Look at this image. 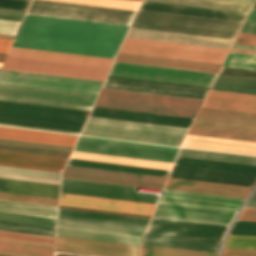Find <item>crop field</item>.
Returning a JSON list of instances; mask_svg holds the SVG:
<instances>
[{"label": "crop field", "instance_id": "crop-field-3", "mask_svg": "<svg viewBox=\"0 0 256 256\" xmlns=\"http://www.w3.org/2000/svg\"><path fill=\"white\" fill-rule=\"evenodd\" d=\"M187 130L89 117L81 135L179 147Z\"/></svg>", "mask_w": 256, "mask_h": 256}, {"label": "crop field", "instance_id": "crop-field-1", "mask_svg": "<svg viewBox=\"0 0 256 256\" xmlns=\"http://www.w3.org/2000/svg\"><path fill=\"white\" fill-rule=\"evenodd\" d=\"M128 27L26 14L11 46L114 58Z\"/></svg>", "mask_w": 256, "mask_h": 256}, {"label": "crop field", "instance_id": "crop-field-22", "mask_svg": "<svg viewBox=\"0 0 256 256\" xmlns=\"http://www.w3.org/2000/svg\"><path fill=\"white\" fill-rule=\"evenodd\" d=\"M244 199L164 190L162 203L238 212Z\"/></svg>", "mask_w": 256, "mask_h": 256}, {"label": "crop field", "instance_id": "crop-field-49", "mask_svg": "<svg viewBox=\"0 0 256 256\" xmlns=\"http://www.w3.org/2000/svg\"><path fill=\"white\" fill-rule=\"evenodd\" d=\"M223 248L256 250V237L229 235Z\"/></svg>", "mask_w": 256, "mask_h": 256}, {"label": "crop field", "instance_id": "crop-field-11", "mask_svg": "<svg viewBox=\"0 0 256 256\" xmlns=\"http://www.w3.org/2000/svg\"><path fill=\"white\" fill-rule=\"evenodd\" d=\"M109 75L210 87L216 74L115 62Z\"/></svg>", "mask_w": 256, "mask_h": 256}, {"label": "crop field", "instance_id": "crop-field-9", "mask_svg": "<svg viewBox=\"0 0 256 256\" xmlns=\"http://www.w3.org/2000/svg\"><path fill=\"white\" fill-rule=\"evenodd\" d=\"M178 148L80 136L73 151L172 163Z\"/></svg>", "mask_w": 256, "mask_h": 256}, {"label": "crop field", "instance_id": "crop-field-16", "mask_svg": "<svg viewBox=\"0 0 256 256\" xmlns=\"http://www.w3.org/2000/svg\"><path fill=\"white\" fill-rule=\"evenodd\" d=\"M54 237L0 231V253L52 256Z\"/></svg>", "mask_w": 256, "mask_h": 256}, {"label": "crop field", "instance_id": "crop-field-46", "mask_svg": "<svg viewBox=\"0 0 256 256\" xmlns=\"http://www.w3.org/2000/svg\"><path fill=\"white\" fill-rule=\"evenodd\" d=\"M223 66L256 70V55L229 52Z\"/></svg>", "mask_w": 256, "mask_h": 256}, {"label": "crop field", "instance_id": "crop-field-73", "mask_svg": "<svg viewBox=\"0 0 256 256\" xmlns=\"http://www.w3.org/2000/svg\"><path fill=\"white\" fill-rule=\"evenodd\" d=\"M6 54H3V53H0V62L3 61L4 57H5Z\"/></svg>", "mask_w": 256, "mask_h": 256}, {"label": "crop field", "instance_id": "crop-field-6", "mask_svg": "<svg viewBox=\"0 0 256 256\" xmlns=\"http://www.w3.org/2000/svg\"><path fill=\"white\" fill-rule=\"evenodd\" d=\"M202 101L102 88L94 105L195 117Z\"/></svg>", "mask_w": 256, "mask_h": 256}, {"label": "crop field", "instance_id": "crop-field-23", "mask_svg": "<svg viewBox=\"0 0 256 256\" xmlns=\"http://www.w3.org/2000/svg\"><path fill=\"white\" fill-rule=\"evenodd\" d=\"M228 227L152 218L147 231L222 240Z\"/></svg>", "mask_w": 256, "mask_h": 256}, {"label": "crop field", "instance_id": "crop-field-50", "mask_svg": "<svg viewBox=\"0 0 256 256\" xmlns=\"http://www.w3.org/2000/svg\"><path fill=\"white\" fill-rule=\"evenodd\" d=\"M0 220L55 226L56 219L0 213Z\"/></svg>", "mask_w": 256, "mask_h": 256}, {"label": "crop field", "instance_id": "crop-field-4", "mask_svg": "<svg viewBox=\"0 0 256 256\" xmlns=\"http://www.w3.org/2000/svg\"><path fill=\"white\" fill-rule=\"evenodd\" d=\"M242 23L139 10L131 27L235 39Z\"/></svg>", "mask_w": 256, "mask_h": 256}, {"label": "crop field", "instance_id": "crop-field-68", "mask_svg": "<svg viewBox=\"0 0 256 256\" xmlns=\"http://www.w3.org/2000/svg\"><path fill=\"white\" fill-rule=\"evenodd\" d=\"M231 51L234 52H242V53H251V54H256V51L253 50H244V49H236V48H232Z\"/></svg>", "mask_w": 256, "mask_h": 256}, {"label": "crop field", "instance_id": "crop-field-51", "mask_svg": "<svg viewBox=\"0 0 256 256\" xmlns=\"http://www.w3.org/2000/svg\"><path fill=\"white\" fill-rule=\"evenodd\" d=\"M0 199L57 206L58 200L0 193Z\"/></svg>", "mask_w": 256, "mask_h": 256}, {"label": "crop field", "instance_id": "crop-field-76", "mask_svg": "<svg viewBox=\"0 0 256 256\" xmlns=\"http://www.w3.org/2000/svg\"><path fill=\"white\" fill-rule=\"evenodd\" d=\"M25 1H29V0H25Z\"/></svg>", "mask_w": 256, "mask_h": 256}, {"label": "crop field", "instance_id": "crop-field-29", "mask_svg": "<svg viewBox=\"0 0 256 256\" xmlns=\"http://www.w3.org/2000/svg\"><path fill=\"white\" fill-rule=\"evenodd\" d=\"M202 107L256 113V96L210 90Z\"/></svg>", "mask_w": 256, "mask_h": 256}, {"label": "crop field", "instance_id": "crop-field-47", "mask_svg": "<svg viewBox=\"0 0 256 256\" xmlns=\"http://www.w3.org/2000/svg\"><path fill=\"white\" fill-rule=\"evenodd\" d=\"M136 10L140 2L128 0H54Z\"/></svg>", "mask_w": 256, "mask_h": 256}, {"label": "crop field", "instance_id": "crop-field-77", "mask_svg": "<svg viewBox=\"0 0 256 256\" xmlns=\"http://www.w3.org/2000/svg\"><path fill=\"white\" fill-rule=\"evenodd\" d=\"M137 1H140V0H137Z\"/></svg>", "mask_w": 256, "mask_h": 256}, {"label": "crop field", "instance_id": "crop-field-56", "mask_svg": "<svg viewBox=\"0 0 256 256\" xmlns=\"http://www.w3.org/2000/svg\"><path fill=\"white\" fill-rule=\"evenodd\" d=\"M20 22L1 20L0 19V33L14 35Z\"/></svg>", "mask_w": 256, "mask_h": 256}, {"label": "crop field", "instance_id": "crop-field-14", "mask_svg": "<svg viewBox=\"0 0 256 256\" xmlns=\"http://www.w3.org/2000/svg\"><path fill=\"white\" fill-rule=\"evenodd\" d=\"M135 188L132 186L62 178L61 192L152 204L156 203L158 199L157 195L134 192Z\"/></svg>", "mask_w": 256, "mask_h": 256}, {"label": "crop field", "instance_id": "crop-field-13", "mask_svg": "<svg viewBox=\"0 0 256 256\" xmlns=\"http://www.w3.org/2000/svg\"><path fill=\"white\" fill-rule=\"evenodd\" d=\"M0 83L97 94L103 82L1 70Z\"/></svg>", "mask_w": 256, "mask_h": 256}, {"label": "crop field", "instance_id": "crop-field-12", "mask_svg": "<svg viewBox=\"0 0 256 256\" xmlns=\"http://www.w3.org/2000/svg\"><path fill=\"white\" fill-rule=\"evenodd\" d=\"M1 69L103 81L106 68L7 56Z\"/></svg>", "mask_w": 256, "mask_h": 256}, {"label": "crop field", "instance_id": "crop-field-58", "mask_svg": "<svg viewBox=\"0 0 256 256\" xmlns=\"http://www.w3.org/2000/svg\"><path fill=\"white\" fill-rule=\"evenodd\" d=\"M24 12L25 11H21V10L0 8V16H2V17H10V18L21 19ZM1 19H9V18H1ZM9 20H17V19H9ZM17 21H20V20H17Z\"/></svg>", "mask_w": 256, "mask_h": 256}, {"label": "crop field", "instance_id": "crop-field-25", "mask_svg": "<svg viewBox=\"0 0 256 256\" xmlns=\"http://www.w3.org/2000/svg\"><path fill=\"white\" fill-rule=\"evenodd\" d=\"M126 36L194 44V45H202V46H210V47H218V48H226V49H229L233 42V40H230V39L151 31V30L134 29V28H130Z\"/></svg>", "mask_w": 256, "mask_h": 256}, {"label": "crop field", "instance_id": "crop-field-40", "mask_svg": "<svg viewBox=\"0 0 256 256\" xmlns=\"http://www.w3.org/2000/svg\"><path fill=\"white\" fill-rule=\"evenodd\" d=\"M70 158L169 170L172 164L73 152Z\"/></svg>", "mask_w": 256, "mask_h": 256}, {"label": "crop field", "instance_id": "crop-field-35", "mask_svg": "<svg viewBox=\"0 0 256 256\" xmlns=\"http://www.w3.org/2000/svg\"><path fill=\"white\" fill-rule=\"evenodd\" d=\"M0 192L58 199L59 186L0 179Z\"/></svg>", "mask_w": 256, "mask_h": 256}, {"label": "crop field", "instance_id": "crop-field-57", "mask_svg": "<svg viewBox=\"0 0 256 256\" xmlns=\"http://www.w3.org/2000/svg\"><path fill=\"white\" fill-rule=\"evenodd\" d=\"M29 2L17 0H0V7L25 10Z\"/></svg>", "mask_w": 256, "mask_h": 256}, {"label": "crop field", "instance_id": "crop-field-26", "mask_svg": "<svg viewBox=\"0 0 256 256\" xmlns=\"http://www.w3.org/2000/svg\"><path fill=\"white\" fill-rule=\"evenodd\" d=\"M222 241L146 232L142 244L217 253Z\"/></svg>", "mask_w": 256, "mask_h": 256}, {"label": "crop field", "instance_id": "crop-field-20", "mask_svg": "<svg viewBox=\"0 0 256 256\" xmlns=\"http://www.w3.org/2000/svg\"><path fill=\"white\" fill-rule=\"evenodd\" d=\"M55 251L93 256H139L140 247L56 237Z\"/></svg>", "mask_w": 256, "mask_h": 256}, {"label": "crop field", "instance_id": "crop-field-69", "mask_svg": "<svg viewBox=\"0 0 256 256\" xmlns=\"http://www.w3.org/2000/svg\"><path fill=\"white\" fill-rule=\"evenodd\" d=\"M233 47L256 50V47H255V46H246V45H238V44H234V45H233Z\"/></svg>", "mask_w": 256, "mask_h": 256}, {"label": "crop field", "instance_id": "crop-field-39", "mask_svg": "<svg viewBox=\"0 0 256 256\" xmlns=\"http://www.w3.org/2000/svg\"><path fill=\"white\" fill-rule=\"evenodd\" d=\"M67 165L167 177L169 171L69 159Z\"/></svg>", "mask_w": 256, "mask_h": 256}, {"label": "crop field", "instance_id": "crop-field-17", "mask_svg": "<svg viewBox=\"0 0 256 256\" xmlns=\"http://www.w3.org/2000/svg\"><path fill=\"white\" fill-rule=\"evenodd\" d=\"M236 213L158 203L152 217L230 226Z\"/></svg>", "mask_w": 256, "mask_h": 256}, {"label": "crop field", "instance_id": "crop-field-37", "mask_svg": "<svg viewBox=\"0 0 256 256\" xmlns=\"http://www.w3.org/2000/svg\"><path fill=\"white\" fill-rule=\"evenodd\" d=\"M178 156L256 166V157L180 148Z\"/></svg>", "mask_w": 256, "mask_h": 256}, {"label": "crop field", "instance_id": "crop-field-65", "mask_svg": "<svg viewBox=\"0 0 256 256\" xmlns=\"http://www.w3.org/2000/svg\"><path fill=\"white\" fill-rule=\"evenodd\" d=\"M111 78H119V79H128V80H136V81H145V82H153V83H162V84H170V85H179V86H187V87H196V88H204V89H208L205 87H197V86H188V85H180V84H171V83H163V82H154V81H146V80H137V79H129V78H120V77H112V76H108Z\"/></svg>", "mask_w": 256, "mask_h": 256}, {"label": "crop field", "instance_id": "crop-field-21", "mask_svg": "<svg viewBox=\"0 0 256 256\" xmlns=\"http://www.w3.org/2000/svg\"><path fill=\"white\" fill-rule=\"evenodd\" d=\"M169 177L254 187L256 174L174 165Z\"/></svg>", "mask_w": 256, "mask_h": 256}, {"label": "crop field", "instance_id": "crop-field-30", "mask_svg": "<svg viewBox=\"0 0 256 256\" xmlns=\"http://www.w3.org/2000/svg\"><path fill=\"white\" fill-rule=\"evenodd\" d=\"M182 147L256 155V143L192 135L187 136Z\"/></svg>", "mask_w": 256, "mask_h": 256}, {"label": "crop field", "instance_id": "crop-field-19", "mask_svg": "<svg viewBox=\"0 0 256 256\" xmlns=\"http://www.w3.org/2000/svg\"><path fill=\"white\" fill-rule=\"evenodd\" d=\"M0 95L92 106L97 95L0 84Z\"/></svg>", "mask_w": 256, "mask_h": 256}, {"label": "crop field", "instance_id": "crop-field-44", "mask_svg": "<svg viewBox=\"0 0 256 256\" xmlns=\"http://www.w3.org/2000/svg\"><path fill=\"white\" fill-rule=\"evenodd\" d=\"M214 253H206L192 250L146 246L142 245L141 256H216Z\"/></svg>", "mask_w": 256, "mask_h": 256}, {"label": "crop field", "instance_id": "crop-field-15", "mask_svg": "<svg viewBox=\"0 0 256 256\" xmlns=\"http://www.w3.org/2000/svg\"><path fill=\"white\" fill-rule=\"evenodd\" d=\"M62 177L161 189L166 178L66 166Z\"/></svg>", "mask_w": 256, "mask_h": 256}, {"label": "crop field", "instance_id": "crop-field-61", "mask_svg": "<svg viewBox=\"0 0 256 256\" xmlns=\"http://www.w3.org/2000/svg\"><path fill=\"white\" fill-rule=\"evenodd\" d=\"M238 220L256 221V209L243 208Z\"/></svg>", "mask_w": 256, "mask_h": 256}, {"label": "crop field", "instance_id": "crop-field-72", "mask_svg": "<svg viewBox=\"0 0 256 256\" xmlns=\"http://www.w3.org/2000/svg\"><path fill=\"white\" fill-rule=\"evenodd\" d=\"M0 38H8V39H12L13 36L11 35H3V34H0Z\"/></svg>", "mask_w": 256, "mask_h": 256}, {"label": "crop field", "instance_id": "crop-field-74", "mask_svg": "<svg viewBox=\"0 0 256 256\" xmlns=\"http://www.w3.org/2000/svg\"><path fill=\"white\" fill-rule=\"evenodd\" d=\"M0 256H14V255H5V254H0Z\"/></svg>", "mask_w": 256, "mask_h": 256}, {"label": "crop field", "instance_id": "crop-field-36", "mask_svg": "<svg viewBox=\"0 0 256 256\" xmlns=\"http://www.w3.org/2000/svg\"><path fill=\"white\" fill-rule=\"evenodd\" d=\"M0 150L68 158L72 148L0 139Z\"/></svg>", "mask_w": 256, "mask_h": 256}, {"label": "crop field", "instance_id": "crop-field-43", "mask_svg": "<svg viewBox=\"0 0 256 256\" xmlns=\"http://www.w3.org/2000/svg\"><path fill=\"white\" fill-rule=\"evenodd\" d=\"M174 164L256 173L255 166L205 161V160H197V159H189V158H181V157H177Z\"/></svg>", "mask_w": 256, "mask_h": 256}, {"label": "crop field", "instance_id": "crop-field-5", "mask_svg": "<svg viewBox=\"0 0 256 256\" xmlns=\"http://www.w3.org/2000/svg\"><path fill=\"white\" fill-rule=\"evenodd\" d=\"M89 112L0 101V123L79 132Z\"/></svg>", "mask_w": 256, "mask_h": 256}, {"label": "crop field", "instance_id": "crop-field-67", "mask_svg": "<svg viewBox=\"0 0 256 256\" xmlns=\"http://www.w3.org/2000/svg\"><path fill=\"white\" fill-rule=\"evenodd\" d=\"M246 20L256 21V11L255 10H250Z\"/></svg>", "mask_w": 256, "mask_h": 256}, {"label": "crop field", "instance_id": "crop-field-8", "mask_svg": "<svg viewBox=\"0 0 256 256\" xmlns=\"http://www.w3.org/2000/svg\"><path fill=\"white\" fill-rule=\"evenodd\" d=\"M119 52L222 64L228 50L126 37Z\"/></svg>", "mask_w": 256, "mask_h": 256}, {"label": "crop field", "instance_id": "crop-field-64", "mask_svg": "<svg viewBox=\"0 0 256 256\" xmlns=\"http://www.w3.org/2000/svg\"><path fill=\"white\" fill-rule=\"evenodd\" d=\"M12 40L0 39V52L6 53Z\"/></svg>", "mask_w": 256, "mask_h": 256}, {"label": "crop field", "instance_id": "crop-field-32", "mask_svg": "<svg viewBox=\"0 0 256 256\" xmlns=\"http://www.w3.org/2000/svg\"><path fill=\"white\" fill-rule=\"evenodd\" d=\"M139 9L207 17V18H215V19H223V20H231V21H239V22H243L247 15L243 13H235V12H227V11H219V10H211V9H203V8H195V7L147 2V1H143Z\"/></svg>", "mask_w": 256, "mask_h": 256}, {"label": "crop field", "instance_id": "crop-field-10", "mask_svg": "<svg viewBox=\"0 0 256 256\" xmlns=\"http://www.w3.org/2000/svg\"><path fill=\"white\" fill-rule=\"evenodd\" d=\"M136 11L32 0L26 13L129 25Z\"/></svg>", "mask_w": 256, "mask_h": 256}, {"label": "crop field", "instance_id": "crop-field-54", "mask_svg": "<svg viewBox=\"0 0 256 256\" xmlns=\"http://www.w3.org/2000/svg\"><path fill=\"white\" fill-rule=\"evenodd\" d=\"M219 74L222 75H231V76H240L248 78H256V71L233 69L222 67Z\"/></svg>", "mask_w": 256, "mask_h": 256}, {"label": "crop field", "instance_id": "crop-field-27", "mask_svg": "<svg viewBox=\"0 0 256 256\" xmlns=\"http://www.w3.org/2000/svg\"><path fill=\"white\" fill-rule=\"evenodd\" d=\"M164 189L246 198L252 188L169 178Z\"/></svg>", "mask_w": 256, "mask_h": 256}, {"label": "crop field", "instance_id": "crop-field-41", "mask_svg": "<svg viewBox=\"0 0 256 256\" xmlns=\"http://www.w3.org/2000/svg\"><path fill=\"white\" fill-rule=\"evenodd\" d=\"M211 89L256 95V80L217 75Z\"/></svg>", "mask_w": 256, "mask_h": 256}, {"label": "crop field", "instance_id": "crop-field-28", "mask_svg": "<svg viewBox=\"0 0 256 256\" xmlns=\"http://www.w3.org/2000/svg\"><path fill=\"white\" fill-rule=\"evenodd\" d=\"M10 56L98 66L109 68L113 59L93 56L75 55L67 53L49 52L41 50L23 49L11 47L8 54Z\"/></svg>", "mask_w": 256, "mask_h": 256}, {"label": "crop field", "instance_id": "crop-field-42", "mask_svg": "<svg viewBox=\"0 0 256 256\" xmlns=\"http://www.w3.org/2000/svg\"><path fill=\"white\" fill-rule=\"evenodd\" d=\"M147 1H155V2H163V3H171V4H179V5H187V6H195V7L243 12V13H248L251 7V5H248V4H240V3H232V2H224V1H216V0H147Z\"/></svg>", "mask_w": 256, "mask_h": 256}, {"label": "crop field", "instance_id": "crop-field-60", "mask_svg": "<svg viewBox=\"0 0 256 256\" xmlns=\"http://www.w3.org/2000/svg\"><path fill=\"white\" fill-rule=\"evenodd\" d=\"M235 43L256 46V35L239 33Z\"/></svg>", "mask_w": 256, "mask_h": 256}, {"label": "crop field", "instance_id": "crop-field-34", "mask_svg": "<svg viewBox=\"0 0 256 256\" xmlns=\"http://www.w3.org/2000/svg\"><path fill=\"white\" fill-rule=\"evenodd\" d=\"M119 62L217 73L221 65L119 53Z\"/></svg>", "mask_w": 256, "mask_h": 256}, {"label": "crop field", "instance_id": "crop-field-52", "mask_svg": "<svg viewBox=\"0 0 256 256\" xmlns=\"http://www.w3.org/2000/svg\"><path fill=\"white\" fill-rule=\"evenodd\" d=\"M0 100L16 101V102L55 106V107L86 110V111H90V109H91V107H88V106L71 105V104L37 101V100H29V99H20V98H12V97H3V96H0Z\"/></svg>", "mask_w": 256, "mask_h": 256}, {"label": "crop field", "instance_id": "crop-field-62", "mask_svg": "<svg viewBox=\"0 0 256 256\" xmlns=\"http://www.w3.org/2000/svg\"><path fill=\"white\" fill-rule=\"evenodd\" d=\"M0 126L17 127V128H25V129H33V130H41V131H50V132H58V133H66V134H74V135L79 134V133H75V132L50 130V129H42V128H34V127H25V126H17V125H9V124H0Z\"/></svg>", "mask_w": 256, "mask_h": 256}, {"label": "crop field", "instance_id": "crop-field-24", "mask_svg": "<svg viewBox=\"0 0 256 256\" xmlns=\"http://www.w3.org/2000/svg\"><path fill=\"white\" fill-rule=\"evenodd\" d=\"M103 87L137 91V92H145V93H153V94H160V95H168V96H176V97H184V98H192V99H200V100L204 99L208 91L204 89L136 82V81H128V80H119V79H111V78L106 79Z\"/></svg>", "mask_w": 256, "mask_h": 256}, {"label": "crop field", "instance_id": "crop-field-63", "mask_svg": "<svg viewBox=\"0 0 256 256\" xmlns=\"http://www.w3.org/2000/svg\"><path fill=\"white\" fill-rule=\"evenodd\" d=\"M240 32L256 34V22L245 21Z\"/></svg>", "mask_w": 256, "mask_h": 256}, {"label": "crop field", "instance_id": "crop-field-59", "mask_svg": "<svg viewBox=\"0 0 256 256\" xmlns=\"http://www.w3.org/2000/svg\"><path fill=\"white\" fill-rule=\"evenodd\" d=\"M221 256H256V251L223 249Z\"/></svg>", "mask_w": 256, "mask_h": 256}, {"label": "crop field", "instance_id": "crop-field-38", "mask_svg": "<svg viewBox=\"0 0 256 256\" xmlns=\"http://www.w3.org/2000/svg\"><path fill=\"white\" fill-rule=\"evenodd\" d=\"M0 212L56 218L57 207L0 200Z\"/></svg>", "mask_w": 256, "mask_h": 256}, {"label": "crop field", "instance_id": "crop-field-33", "mask_svg": "<svg viewBox=\"0 0 256 256\" xmlns=\"http://www.w3.org/2000/svg\"><path fill=\"white\" fill-rule=\"evenodd\" d=\"M78 136L0 127V138L73 147Z\"/></svg>", "mask_w": 256, "mask_h": 256}, {"label": "crop field", "instance_id": "crop-field-55", "mask_svg": "<svg viewBox=\"0 0 256 256\" xmlns=\"http://www.w3.org/2000/svg\"><path fill=\"white\" fill-rule=\"evenodd\" d=\"M0 178L14 179V180H22V181H31V182H39V183H47V184H55V185H59V183H60V181H56V180H48V179H40V178H31V177H23V176H15V175H6V174H0Z\"/></svg>", "mask_w": 256, "mask_h": 256}, {"label": "crop field", "instance_id": "crop-field-45", "mask_svg": "<svg viewBox=\"0 0 256 256\" xmlns=\"http://www.w3.org/2000/svg\"><path fill=\"white\" fill-rule=\"evenodd\" d=\"M0 230L54 236L55 227L0 221Z\"/></svg>", "mask_w": 256, "mask_h": 256}, {"label": "crop field", "instance_id": "crop-field-70", "mask_svg": "<svg viewBox=\"0 0 256 256\" xmlns=\"http://www.w3.org/2000/svg\"><path fill=\"white\" fill-rule=\"evenodd\" d=\"M224 1H232V2H240V3L252 4L254 0H224Z\"/></svg>", "mask_w": 256, "mask_h": 256}, {"label": "crop field", "instance_id": "crop-field-7", "mask_svg": "<svg viewBox=\"0 0 256 256\" xmlns=\"http://www.w3.org/2000/svg\"><path fill=\"white\" fill-rule=\"evenodd\" d=\"M188 134L256 142V114L201 108Z\"/></svg>", "mask_w": 256, "mask_h": 256}, {"label": "crop field", "instance_id": "crop-field-18", "mask_svg": "<svg viewBox=\"0 0 256 256\" xmlns=\"http://www.w3.org/2000/svg\"><path fill=\"white\" fill-rule=\"evenodd\" d=\"M59 205L151 216L155 205L64 194Z\"/></svg>", "mask_w": 256, "mask_h": 256}, {"label": "crop field", "instance_id": "crop-field-53", "mask_svg": "<svg viewBox=\"0 0 256 256\" xmlns=\"http://www.w3.org/2000/svg\"><path fill=\"white\" fill-rule=\"evenodd\" d=\"M230 234L256 236V222L236 221Z\"/></svg>", "mask_w": 256, "mask_h": 256}, {"label": "crop field", "instance_id": "crop-field-2", "mask_svg": "<svg viewBox=\"0 0 256 256\" xmlns=\"http://www.w3.org/2000/svg\"><path fill=\"white\" fill-rule=\"evenodd\" d=\"M148 220L59 208L56 236L140 246Z\"/></svg>", "mask_w": 256, "mask_h": 256}, {"label": "crop field", "instance_id": "crop-field-48", "mask_svg": "<svg viewBox=\"0 0 256 256\" xmlns=\"http://www.w3.org/2000/svg\"><path fill=\"white\" fill-rule=\"evenodd\" d=\"M0 173L60 180V173H57V172H48V171H39V170H30V169H21V168L0 166Z\"/></svg>", "mask_w": 256, "mask_h": 256}, {"label": "crop field", "instance_id": "crop-field-66", "mask_svg": "<svg viewBox=\"0 0 256 256\" xmlns=\"http://www.w3.org/2000/svg\"><path fill=\"white\" fill-rule=\"evenodd\" d=\"M245 207L256 208V191L254 192L248 203L245 205Z\"/></svg>", "mask_w": 256, "mask_h": 256}, {"label": "crop field", "instance_id": "crop-field-71", "mask_svg": "<svg viewBox=\"0 0 256 256\" xmlns=\"http://www.w3.org/2000/svg\"><path fill=\"white\" fill-rule=\"evenodd\" d=\"M55 256H84V255H76V254H67V253L55 252Z\"/></svg>", "mask_w": 256, "mask_h": 256}, {"label": "crop field", "instance_id": "crop-field-75", "mask_svg": "<svg viewBox=\"0 0 256 256\" xmlns=\"http://www.w3.org/2000/svg\"><path fill=\"white\" fill-rule=\"evenodd\" d=\"M1 64H2V63H0V67H1Z\"/></svg>", "mask_w": 256, "mask_h": 256}, {"label": "crop field", "instance_id": "crop-field-31", "mask_svg": "<svg viewBox=\"0 0 256 256\" xmlns=\"http://www.w3.org/2000/svg\"><path fill=\"white\" fill-rule=\"evenodd\" d=\"M63 158L0 151V165L61 172Z\"/></svg>", "mask_w": 256, "mask_h": 256}]
</instances>
